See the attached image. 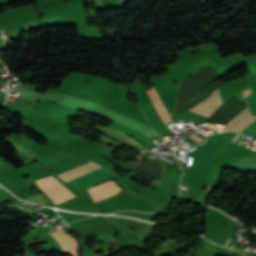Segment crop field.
I'll list each match as a JSON object with an SVG mask.
<instances>
[{"label":"crop field","instance_id":"obj_9","mask_svg":"<svg viewBox=\"0 0 256 256\" xmlns=\"http://www.w3.org/2000/svg\"><path fill=\"white\" fill-rule=\"evenodd\" d=\"M255 120H256V117H251V118L246 119L237 129H235V131L240 132L241 130H243L245 127H247L249 124H251Z\"/></svg>","mask_w":256,"mask_h":256},{"label":"crop field","instance_id":"obj_10","mask_svg":"<svg viewBox=\"0 0 256 256\" xmlns=\"http://www.w3.org/2000/svg\"><path fill=\"white\" fill-rule=\"evenodd\" d=\"M251 93H252L251 88H248L247 90L243 91V94H244L245 97L248 96Z\"/></svg>","mask_w":256,"mask_h":256},{"label":"crop field","instance_id":"obj_12","mask_svg":"<svg viewBox=\"0 0 256 256\" xmlns=\"http://www.w3.org/2000/svg\"><path fill=\"white\" fill-rule=\"evenodd\" d=\"M98 7L103 6L101 0H96Z\"/></svg>","mask_w":256,"mask_h":256},{"label":"crop field","instance_id":"obj_7","mask_svg":"<svg viewBox=\"0 0 256 256\" xmlns=\"http://www.w3.org/2000/svg\"><path fill=\"white\" fill-rule=\"evenodd\" d=\"M147 94L150 96V98L152 99L159 115L161 116V118L164 120V122L169 121L170 120V116L167 112V110L165 109L157 91L153 88L149 89L148 91H146ZM171 122V121H169ZM166 122L165 124L169 123Z\"/></svg>","mask_w":256,"mask_h":256},{"label":"crop field","instance_id":"obj_2","mask_svg":"<svg viewBox=\"0 0 256 256\" xmlns=\"http://www.w3.org/2000/svg\"><path fill=\"white\" fill-rule=\"evenodd\" d=\"M223 104L218 89L214 90L212 94L204 101L197 104L190 111L210 117L212 113Z\"/></svg>","mask_w":256,"mask_h":256},{"label":"crop field","instance_id":"obj_5","mask_svg":"<svg viewBox=\"0 0 256 256\" xmlns=\"http://www.w3.org/2000/svg\"><path fill=\"white\" fill-rule=\"evenodd\" d=\"M96 130L102 132L103 134H105V135H107V136H109L111 138L119 140V141L125 143L126 145H128V146H130L132 148H135V149H138V150H142V151H149L147 148H144L138 142L134 141L130 137H128V136H126V135H124V134H122L120 132H117V131H114V130H111V129H108V128H103V127H100V126H98L96 128Z\"/></svg>","mask_w":256,"mask_h":256},{"label":"crop field","instance_id":"obj_1","mask_svg":"<svg viewBox=\"0 0 256 256\" xmlns=\"http://www.w3.org/2000/svg\"><path fill=\"white\" fill-rule=\"evenodd\" d=\"M37 185L52 199L56 204L75 197L60 182L51 175L35 181Z\"/></svg>","mask_w":256,"mask_h":256},{"label":"crop field","instance_id":"obj_14","mask_svg":"<svg viewBox=\"0 0 256 256\" xmlns=\"http://www.w3.org/2000/svg\"><path fill=\"white\" fill-rule=\"evenodd\" d=\"M237 135H238V134H237ZM235 136H236V135H235ZM236 137H237V136H236ZM236 137H235V138H236ZM235 138H234V139H235ZM232 140H233V139H232ZM233 141H234V140H233Z\"/></svg>","mask_w":256,"mask_h":256},{"label":"crop field","instance_id":"obj_13","mask_svg":"<svg viewBox=\"0 0 256 256\" xmlns=\"http://www.w3.org/2000/svg\"><path fill=\"white\" fill-rule=\"evenodd\" d=\"M230 241V238H229V240H228V242ZM228 242H227V244H228ZM227 244H226V246H227Z\"/></svg>","mask_w":256,"mask_h":256},{"label":"crop field","instance_id":"obj_11","mask_svg":"<svg viewBox=\"0 0 256 256\" xmlns=\"http://www.w3.org/2000/svg\"><path fill=\"white\" fill-rule=\"evenodd\" d=\"M194 135V134H193ZM193 135H190V137L192 138V139H194L196 142H201L202 140H200V139H198L197 137H195V136H193ZM197 136V135H196Z\"/></svg>","mask_w":256,"mask_h":256},{"label":"crop field","instance_id":"obj_4","mask_svg":"<svg viewBox=\"0 0 256 256\" xmlns=\"http://www.w3.org/2000/svg\"><path fill=\"white\" fill-rule=\"evenodd\" d=\"M93 189L95 194L91 195V197L95 202L100 201L116 193H119L122 190L112 180H109L104 184L93 187ZM93 189H90L91 194L94 193Z\"/></svg>","mask_w":256,"mask_h":256},{"label":"crop field","instance_id":"obj_3","mask_svg":"<svg viewBox=\"0 0 256 256\" xmlns=\"http://www.w3.org/2000/svg\"><path fill=\"white\" fill-rule=\"evenodd\" d=\"M54 238L63 246V253L78 256V241L63 231L62 228L51 232Z\"/></svg>","mask_w":256,"mask_h":256},{"label":"crop field","instance_id":"obj_8","mask_svg":"<svg viewBox=\"0 0 256 256\" xmlns=\"http://www.w3.org/2000/svg\"><path fill=\"white\" fill-rule=\"evenodd\" d=\"M245 110V109H244ZM241 113V112H240ZM239 113V114H240ZM238 114V115H239ZM237 115V116H238ZM249 116H251V114H250V112H249V110H248V108L244 111V112H242L238 117H236L233 121H229L230 123L225 127V129L224 130H231V129H233L234 127H236L238 124H240L245 118H247V117H249Z\"/></svg>","mask_w":256,"mask_h":256},{"label":"crop field","instance_id":"obj_6","mask_svg":"<svg viewBox=\"0 0 256 256\" xmlns=\"http://www.w3.org/2000/svg\"><path fill=\"white\" fill-rule=\"evenodd\" d=\"M101 166H98L92 162H89L87 164H84L80 167H77L75 169H72L70 171H67L63 174L58 175L63 181L68 182L74 178H77L83 174H86L92 170H95Z\"/></svg>","mask_w":256,"mask_h":256}]
</instances>
